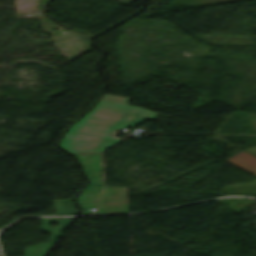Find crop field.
Here are the masks:
<instances>
[{"label":"crop field","instance_id":"dd49c442","mask_svg":"<svg viewBox=\"0 0 256 256\" xmlns=\"http://www.w3.org/2000/svg\"><path fill=\"white\" fill-rule=\"evenodd\" d=\"M225 161L256 175V156L241 150L234 156L226 159Z\"/></svg>","mask_w":256,"mask_h":256},{"label":"crop field","instance_id":"e52e79f7","mask_svg":"<svg viewBox=\"0 0 256 256\" xmlns=\"http://www.w3.org/2000/svg\"><path fill=\"white\" fill-rule=\"evenodd\" d=\"M56 213H73L75 209L70 200L53 201Z\"/></svg>","mask_w":256,"mask_h":256},{"label":"crop field","instance_id":"d8731c3e","mask_svg":"<svg viewBox=\"0 0 256 256\" xmlns=\"http://www.w3.org/2000/svg\"><path fill=\"white\" fill-rule=\"evenodd\" d=\"M245 150H247V151H249V152H251V153L256 155V146L250 147V148L245 149Z\"/></svg>","mask_w":256,"mask_h":256},{"label":"crop field","instance_id":"f4fd0767","mask_svg":"<svg viewBox=\"0 0 256 256\" xmlns=\"http://www.w3.org/2000/svg\"><path fill=\"white\" fill-rule=\"evenodd\" d=\"M102 187L87 186L76 198L82 207L80 214H91V208H94L98 195Z\"/></svg>","mask_w":256,"mask_h":256},{"label":"crop field","instance_id":"8a807250","mask_svg":"<svg viewBox=\"0 0 256 256\" xmlns=\"http://www.w3.org/2000/svg\"><path fill=\"white\" fill-rule=\"evenodd\" d=\"M93 110L68 130L60 143L71 152L102 151L117 142H102L114 129L154 119L155 113L128 106L129 99L104 94Z\"/></svg>","mask_w":256,"mask_h":256},{"label":"crop field","instance_id":"5a996713","mask_svg":"<svg viewBox=\"0 0 256 256\" xmlns=\"http://www.w3.org/2000/svg\"><path fill=\"white\" fill-rule=\"evenodd\" d=\"M121 3L127 4L130 3L132 0H118Z\"/></svg>","mask_w":256,"mask_h":256},{"label":"crop field","instance_id":"412701ff","mask_svg":"<svg viewBox=\"0 0 256 256\" xmlns=\"http://www.w3.org/2000/svg\"><path fill=\"white\" fill-rule=\"evenodd\" d=\"M80 160L90 183L102 185L100 179L101 161L100 153L74 154Z\"/></svg>","mask_w":256,"mask_h":256},{"label":"crop field","instance_id":"ac0d7876","mask_svg":"<svg viewBox=\"0 0 256 256\" xmlns=\"http://www.w3.org/2000/svg\"><path fill=\"white\" fill-rule=\"evenodd\" d=\"M129 212L127 188L106 186L95 213Z\"/></svg>","mask_w":256,"mask_h":256},{"label":"crop field","instance_id":"34b2d1b8","mask_svg":"<svg viewBox=\"0 0 256 256\" xmlns=\"http://www.w3.org/2000/svg\"><path fill=\"white\" fill-rule=\"evenodd\" d=\"M71 218H51V219H41V230L44 232L51 233L52 241L43 244H37L26 247L24 250L26 253L24 256H46L50 248L53 246L55 241L58 239L60 234L63 232ZM50 221H55L60 223L57 227L49 226Z\"/></svg>","mask_w":256,"mask_h":256}]
</instances>
